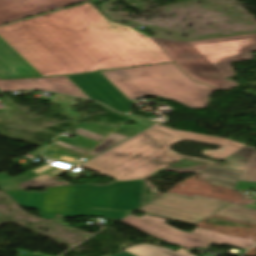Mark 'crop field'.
Segmentation results:
<instances>
[{"instance_id":"1","label":"crop field","mask_w":256,"mask_h":256,"mask_svg":"<svg viewBox=\"0 0 256 256\" xmlns=\"http://www.w3.org/2000/svg\"><path fill=\"white\" fill-rule=\"evenodd\" d=\"M43 76L175 62L147 35L107 20L91 3L0 27Z\"/></svg>"},{"instance_id":"2","label":"crop field","mask_w":256,"mask_h":256,"mask_svg":"<svg viewBox=\"0 0 256 256\" xmlns=\"http://www.w3.org/2000/svg\"><path fill=\"white\" fill-rule=\"evenodd\" d=\"M182 139L222 146V151H205L206 155L221 159L245 146V144L228 139L175 131L156 124V126L100 155L82 167L124 181L153 178L164 170L200 173L214 165L181 157L166 149Z\"/></svg>"},{"instance_id":"3","label":"crop field","mask_w":256,"mask_h":256,"mask_svg":"<svg viewBox=\"0 0 256 256\" xmlns=\"http://www.w3.org/2000/svg\"><path fill=\"white\" fill-rule=\"evenodd\" d=\"M144 180L116 182L99 187L91 184L47 188L44 193L8 191L25 208H36L44 219L80 216H102L116 222L141 208ZM103 209H118L100 210ZM50 214L51 216H46Z\"/></svg>"},{"instance_id":"4","label":"crop field","mask_w":256,"mask_h":256,"mask_svg":"<svg viewBox=\"0 0 256 256\" xmlns=\"http://www.w3.org/2000/svg\"><path fill=\"white\" fill-rule=\"evenodd\" d=\"M193 80L230 90L234 81L225 80L235 76L230 63L253 59L256 51V34L181 42L150 37Z\"/></svg>"},{"instance_id":"5","label":"crop field","mask_w":256,"mask_h":256,"mask_svg":"<svg viewBox=\"0 0 256 256\" xmlns=\"http://www.w3.org/2000/svg\"><path fill=\"white\" fill-rule=\"evenodd\" d=\"M130 100L158 96L190 108H205L214 88L196 83L173 64L101 72Z\"/></svg>"},{"instance_id":"6","label":"crop field","mask_w":256,"mask_h":256,"mask_svg":"<svg viewBox=\"0 0 256 256\" xmlns=\"http://www.w3.org/2000/svg\"><path fill=\"white\" fill-rule=\"evenodd\" d=\"M137 211L189 224H196L212 214L256 223V202L240 207L200 196L190 198L171 192Z\"/></svg>"},{"instance_id":"7","label":"crop field","mask_w":256,"mask_h":256,"mask_svg":"<svg viewBox=\"0 0 256 256\" xmlns=\"http://www.w3.org/2000/svg\"><path fill=\"white\" fill-rule=\"evenodd\" d=\"M120 221L144 231L170 244H177L188 250L194 248H208L211 243L222 245L224 243L247 249L256 244L255 241L230 237L215 233L211 230L197 227L191 233L180 231L165 225L166 219L145 214L141 218L128 216Z\"/></svg>"},{"instance_id":"8","label":"crop field","mask_w":256,"mask_h":256,"mask_svg":"<svg viewBox=\"0 0 256 256\" xmlns=\"http://www.w3.org/2000/svg\"><path fill=\"white\" fill-rule=\"evenodd\" d=\"M223 168L210 167L202 173L213 175L203 179L219 186L246 189L256 188V151L244 147L224 159Z\"/></svg>"},{"instance_id":"9","label":"crop field","mask_w":256,"mask_h":256,"mask_svg":"<svg viewBox=\"0 0 256 256\" xmlns=\"http://www.w3.org/2000/svg\"><path fill=\"white\" fill-rule=\"evenodd\" d=\"M68 78L90 98L103 102L118 111L127 113L131 110L133 103L101 73L70 76Z\"/></svg>"},{"instance_id":"10","label":"crop field","mask_w":256,"mask_h":256,"mask_svg":"<svg viewBox=\"0 0 256 256\" xmlns=\"http://www.w3.org/2000/svg\"><path fill=\"white\" fill-rule=\"evenodd\" d=\"M88 0H0V24Z\"/></svg>"},{"instance_id":"11","label":"crop field","mask_w":256,"mask_h":256,"mask_svg":"<svg viewBox=\"0 0 256 256\" xmlns=\"http://www.w3.org/2000/svg\"><path fill=\"white\" fill-rule=\"evenodd\" d=\"M21 89H46L65 94L88 97L67 77L0 81L1 91Z\"/></svg>"},{"instance_id":"12","label":"crop field","mask_w":256,"mask_h":256,"mask_svg":"<svg viewBox=\"0 0 256 256\" xmlns=\"http://www.w3.org/2000/svg\"><path fill=\"white\" fill-rule=\"evenodd\" d=\"M42 77L0 37V79Z\"/></svg>"},{"instance_id":"13","label":"crop field","mask_w":256,"mask_h":256,"mask_svg":"<svg viewBox=\"0 0 256 256\" xmlns=\"http://www.w3.org/2000/svg\"><path fill=\"white\" fill-rule=\"evenodd\" d=\"M70 183L62 180L58 182L49 175L42 176L30 171L26 175L11 178L7 173H0V188L2 190L38 188L46 186L68 185Z\"/></svg>"},{"instance_id":"14","label":"crop field","mask_w":256,"mask_h":256,"mask_svg":"<svg viewBox=\"0 0 256 256\" xmlns=\"http://www.w3.org/2000/svg\"><path fill=\"white\" fill-rule=\"evenodd\" d=\"M75 133L77 135H80V136H83V137H86V138H89V139H92V140H95V141H98V142H100L102 139L105 138V136H102V135H99V134H96V133H93V132H90V131H87V130H84V129H81V128H78V127L75 128ZM55 142L60 144V145L65 146V147H68L70 149H73L75 151L81 152L85 155L91 151V148H88V147H85L83 145L68 141V140L60 138V137L56 138ZM65 147H62V146H59V145L55 144L53 146H50L49 149L55 150L57 152H60V153L66 154V155L74 156V157H77V156L82 157L83 156L82 154L77 153L75 151H72L70 149H67ZM49 151L50 150L45 149L43 154L45 156L51 157L56 153L55 152V153H52L51 155H47L46 152H49ZM73 154H75L77 156H75ZM77 158L81 159L80 157H77Z\"/></svg>"},{"instance_id":"15","label":"crop field","mask_w":256,"mask_h":256,"mask_svg":"<svg viewBox=\"0 0 256 256\" xmlns=\"http://www.w3.org/2000/svg\"><path fill=\"white\" fill-rule=\"evenodd\" d=\"M138 246L141 249L137 248ZM125 250L136 256H194L182 249L175 253L169 249L150 244H139Z\"/></svg>"},{"instance_id":"16","label":"crop field","mask_w":256,"mask_h":256,"mask_svg":"<svg viewBox=\"0 0 256 256\" xmlns=\"http://www.w3.org/2000/svg\"><path fill=\"white\" fill-rule=\"evenodd\" d=\"M127 117L129 119L133 120L134 122H136L137 125H139V126L149 127V126L153 125L152 121H147V120L134 118V117H130V116H127ZM127 138H129V137H125V136L113 133L108 138H106L98 147H96L92 152L100 154V153L104 152L105 150H107L108 148L112 147L113 145H115Z\"/></svg>"},{"instance_id":"17","label":"crop field","mask_w":256,"mask_h":256,"mask_svg":"<svg viewBox=\"0 0 256 256\" xmlns=\"http://www.w3.org/2000/svg\"><path fill=\"white\" fill-rule=\"evenodd\" d=\"M145 183H146L145 194H144V201H143V205L142 206L152 202L155 198H157L158 196L162 195L159 191H157L146 180H145Z\"/></svg>"},{"instance_id":"18","label":"crop field","mask_w":256,"mask_h":256,"mask_svg":"<svg viewBox=\"0 0 256 256\" xmlns=\"http://www.w3.org/2000/svg\"><path fill=\"white\" fill-rule=\"evenodd\" d=\"M115 256H134V255H132V254H130V253L124 251V252L119 253V254H117V255H115Z\"/></svg>"}]
</instances>
